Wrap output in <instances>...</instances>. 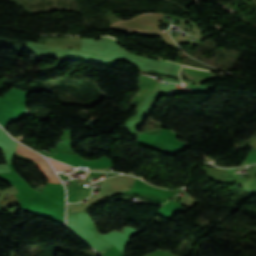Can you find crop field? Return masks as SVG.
<instances>
[{
    "label": "crop field",
    "mask_w": 256,
    "mask_h": 256,
    "mask_svg": "<svg viewBox=\"0 0 256 256\" xmlns=\"http://www.w3.org/2000/svg\"><path fill=\"white\" fill-rule=\"evenodd\" d=\"M90 170H106V169H90Z\"/></svg>",
    "instance_id": "crop-field-4"
},
{
    "label": "crop field",
    "mask_w": 256,
    "mask_h": 256,
    "mask_svg": "<svg viewBox=\"0 0 256 256\" xmlns=\"http://www.w3.org/2000/svg\"><path fill=\"white\" fill-rule=\"evenodd\" d=\"M17 152L22 154V155H24V156H26V157H28V158H30V159H32V160H34V161H36V162H38V163L49 165L44 158H42L41 156H39L38 154H36L32 150H30V149H28V148H26V147H24V146H22L20 144L18 146Z\"/></svg>",
    "instance_id": "crop-field-1"
},
{
    "label": "crop field",
    "mask_w": 256,
    "mask_h": 256,
    "mask_svg": "<svg viewBox=\"0 0 256 256\" xmlns=\"http://www.w3.org/2000/svg\"><path fill=\"white\" fill-rule=\"evenodd\" d=\"M54 166L55 170H71L69 166L48 159Z\"/></svg>",
    "instance_id": "crop-field-3"
},
{
    "label": "crop field",
    "mask_w": 256,
    "mask_h": 256,
    "mask_svg": "<svg viewBox=\"0 0 256 256\" xmlns=\"http://www.w3.org/2000/svg\"><path fill=\"white\" fill-rule=\"evenodd\" d=\"M37 165L39 166V168L42 171V173L47 177L48 182L61 184L60 180L54 174V172L51 169V167L40 165V164H37Z\"/></svg>",
    "instance_id": "crop-field-2"
}]
</instances>
